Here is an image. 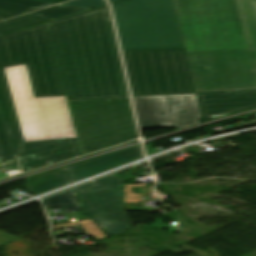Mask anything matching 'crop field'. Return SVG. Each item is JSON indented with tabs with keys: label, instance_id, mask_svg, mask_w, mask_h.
I'll use <instances>...</instances> for the list:
<instances>
[{
	"label": "crop field",
	"instance_id": "obj_9",
	"mask_svg": "<svg viewBox=\"0 0 256 256\" xmlns=\"http://www.w3.org/2000/svg\"><path fill=\"white\" fill-rule=\"evenodd\" d=\"M140 129L183 128L201 118L195 94L133 98ZM160 113H164L159 116Z\"/></svg>",
	"mask_w": 256,
	"mask_h": 256
},
{
	"label": "crop field",
	"instance_id": "obj_5",
	"mask_svg": "<svg viewBox=\"0 0 256 256\" xmlns=\"http://www.w3.org/2000/svg\"><path fill=\"white\" fill-rule=\"evenodd\" d=\"M111 8L122 50L184 47L173 0H127Z\"/></svg>",
	"mask_w": 256,
	"mask_h": 256
},
{
	"label": "crop field",
	"instance_id": "obj_19",
	"mask_svg": "<svg viewBox=\"0 0 256 256\" xmlns=\"http://www.w3.org/2000/svg\"><path fill=\"white\" fill-rule=\"evenodd\" d=\"M95 186H103V185H117L123 184L122 180L116 176L110 175L105 178L94 181Z\"/></svg>",
	"mask_w": 256,
	"mask_h": 256
},
{
	"label": "crop field",
	"instance_id": "obj_21",
	"mask_svg": "<svg viewBox=\"0 0 256 256\" xmlns=\"http://www.w3.org/2000/svg\"><path fill=\"white\" fill-rule=\"evenodd\" d=\"M20 14H22V13L9 11V10H5V9L0 8V20L10 18V17H14V16H17V15H20Z\"/></svg>",
	"mask_w": 256,
	"mask_h": 256
},
{
	"label": "crop field",
	"instance_id": "obj_8",
	"mask_svg": "<svg viewBox=\"0 0 256 256\" xmlns=\"http://www.w3.org/2000/svg\"><path fill=\"white\" fill-rule=\"evenodd\" d=\"M24 63L35 97L65 95L47 24L0 37V68Z\"/></svg>",
	"mask_w": 256,
	"mask_h": 256
},
{
	"label": "crop field",
	"instance_id": "obj_23",
	"mask_svg": "<svg viewBox=\"0 0 256 256\" xmlns=\"http://www.w3.org/2000/svg\"><path fill=\"white\" fill-rule=\"evenodd\" d=\"M13 170H16V169H10V170H1V171H2V173H3V172H9V171H13Z\"/></svg>",
	"mask_w": 256,
	"mask_h": 256
},
{
	"label": "crop field",
	"instance_id": "obj_7",
	"mask_svg": "<svg viewBox=\"0 0 256 256\" xmlns=\"http://www.w3.org/2000/svg\"><path fill=\"white\" fill-rule=\"evenodd\" d=\"M122 54L133 97L194 93L185 48Z\"/></svg>",
	"mask_w": 256,
	"mask_h": 256
},
{
	"label": "crop field",
	"instance_id": "obj_4",
	"mask_svg": "<svg viewBox=\"0 0 256 256\" xmlns=\"http://www.w3.org/2000/svg\"><path fill=\"white\" fill-rule=\"evenodd\" d=\"M250 50L186 52L195 92L256 89V0H239Z\"/></svg>",
	"mask_w": 256,
	"mask_h": 256
},
{
	"label": "crop field",
	"instance_id": "obj_14",
	"mask_svg": "<svg viewBox=\"0 0 256 256\" xmlns=\"http://www.w3.org/2000/svg\"><path fill=\"white\" fill-rule=\"evenodd\" d=\"M48 21L49 20L24 15L8 21L0 22V33L4 34Z\"/></svg>",
	"mask_w": 256,
	"mask_h": 256
},
{
	"label": "crop field",
	"instance_id": "obj_22",
	"mask_svg": "<svg viewBox=\"0 0 256 256\" xmlns=\"http://www.w3.org/2000/svg\"><path fill=\"white\" fill-rule=\"evenodd\" d=\"M42 1H48V2H54V3H60V2H65L69 0H42Z\"/></svg>",
	"mask_w": 256,
	"mask_h": 256
},
{
	"label": "crop field",
	"instance_id": "obj_1",
	"mask_svg": "<svg viewBox=\"0 0 256 256\" xmlns=\"http://www.w3.org/2000/svg\"><path fill=\"white\" fill-rule=\"evenodd\" d=\"M0 113L22 169L82 155L65 96L34 98L26 64L0 69Z\"/></svg>",
	"mask_w": 256,
	"mask_h": 256
},
{
	"label": "crop field",
	"instance_id": "obj_20",
	"mask_svg": "<svg viewBox=\"0 0 256 256\" xmlns=\"http://www.w3.org/2000/svg\"><path fill=\"white\" fill-rule=\"evenodd\" d=\"M18 168L16 159H4L0 160V169ZM7 173L1 174L0 179L7 178Z\"/></svg>",
	"mask_w": 256,
	"mask_h": 256
},
{
	"label": "crop field",
	"instance_id": "obj_25",
	"mask_svg": "<svg viewBox=\"0 0 256 256\" xmlns=\"http://www.w3.org/2000/svg\"><path fill=\"white\" fill-rule=\"evenodd\" d=\"M1 35V34H0Z\"/></svg>",
	"mask_w": 256,
	"mask_h": 256
},
{
	"label": "crop field",
	"instance_id": "obj_17",
	"mask_svg": "<svg viewBox=\"0 0 256 256\" xmlns=\"http://www.w3.org/2000/svg\"><path fill=\"white\" fill-rule=\"evenodd\" d=\"M15 158L6 119L0 114V159Z\"/></svg>",
	"mask_w": 256,
	"mask_h": 256
},
{
	"label": "crop field",
	"instance_id": "obj_13",
	"mask_svg": "<svg viewBox=\"0 0 256 256\" xmlns=\"http://www.w3.org/2000/svg\"><path fill=\"white\" fill-rule=\"evenodd\" d=\"M52 5L55 4L36 0H0L1 8L14 10L22 13L34 11Z\"/></svg>",
	"mask_w": 256,
	"mask_h": 256
},
{
	"label": "crop field",
	"instance_id": "obj_15",
	"mask_svg": "<svg viewBox=\"0 0 256 256\" xmlns=\"http://www.w3.org/2000/svg\"><path fill=\"white\" fill-rule=\"evenodd\" d=\"M46 209L81 204L74 189L42 200Z\"/></svg>",
	"mask_w": 256,
	"mask_h": 256
},
{
	"label": "crop field",
	"instance_id": "obj_11",
	"mask_svg": "<svg viewBox=\"0 0 256 256\" xmlns=\"http://www.w3.org/2000/svg\"><path fill=\"white\" fill-rule=\"evenodd\" d=\"M142 157L141 148L136 146L125 151L102 156L57 171L27 178L28 190L30 193L38 195Z\"/></svg>",
	"mask_w": 256,
	"mask_h": 256
},
{
	"label": "crop field",
	"instance_id": "obj_6",
	"mask_svg": "<svg viewBox=\"0 0 256 256\" xmlns=\"http://www.w3.org/2000/svg\"><path fill=\"white\" fill-rule=\"evenodd\" d=\"M67 102L83 155L138 137L129 98Z\"/></svg>",
	"mask_w": 256,
	"mask_h": 256
},
{
	"label": "crop field",
	"instance_id": "obj_2",
	"mask_svg": "<svg viewBox=\"0 0 256 256\" xmlns=\"http://www.w3.org/2000/svg\"><path fill=\"white\" fill-rule=\"evenodd\" d=\"M48 27L67 100L127 97L107 7Z\"/></svg>",
	"mask_w": 256,
	"mask_h": 256
},
{
	"label": "crop field",
	"instance_id": "obj_10",
	"mask_svg": "<svg viewBox=\"0 0 256 256\" xmlns=\"http://www.w3.org/2000/svg\"><path fill=\"white\" fill-rule=\"evenodd\" d=\"M123 185L95 187L93 182L75 188L84 212L102 228L108 236L125 232L133 225L120 205H123Z\"/></svg>",
	"mask_w": 256,
	"mask_h": 256
},
{
	"label": "crop field",
	"instance_id": "obj_12",
	"mask_svg": "<svg viewBox=\"0 0 256 256\" xmlns=\"http://www.w3.org/2000/svg\"><path fill=\"white\" fill-rule=\"evenodd\" d=\"M195 94L204 121L256 107V90Z\"/></svg>",
	"mask_w": 256,
	"mask_h": 256
},
{
	"label": "crop field",
	"instance_id": "obj_24",
	"mask_svg": "<svg viewBox=\"0 0 256 256\" xmlns=\"http://www.w3.org/2000/svg\"><path fill=\"white\" fill-rule=\"evenodd\" d=\"M110 1V3H112V2H116V1H119V0H109Z\"/></svg>",
	"mask_w": 256,
	"mask_h": 256
},
{
	"label": "crop field",
	"instance_id": "obj_3",
	"mask_svg": "<svg viewBox=\"0 0 256 256\" xmlns=\"http://www.w3.org/2000/svg\"><path fill=\"white\" fill-rule=\"evenodd\" d=\"M186 51L249 49L238 0H174Z\"/></svg>",
	"mask_w": 256,
	"mask_h": 256
},
{
	"label": "crop field",
	"instance_id": "obj_16",
	"mask_svg": "<svg viewBox=\"0 0 256 256\" xmlns=\"http://www.w3.org/2000/svg\"><path fill=\"white\" fill-rule=\"evenodd\" d=\"M86 10H88V9L58 5V6L44 9V10H41V11H38L35 13H31L28 15L53 20V19L61 18L64 16H68V15L79 13V12L86 11Z\"/></svg>",
	"mask_w": 256,
	"mask_h": 256
},
{
	"label": "crop field",
	"instance_id": "obj_18",
	"mask_svg": "<svg viewBox=\"0 0 256 256\" xmlns=\"http://www.w3.org/2000/svg\"><path fill=\"white\" fill-rule=\"evenodd\" d=\"M63 5L93 9L99 6L106 5V2L105 0H74L64 3Z\"/></svg>",
	"mask_w": 256,
	"mask_h": 256
}]
</instances>
